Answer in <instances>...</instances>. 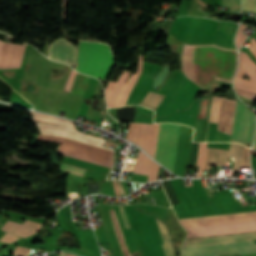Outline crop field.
Here are the masks:
<instances>
[{"mask_svg": "<svg viewBox=\"0 0 256 256\" xmlns=\"http://www.w3.org/2000/svg\"><path fill=\"white\" fill-rule=\"evenodd\" d=\"M18 239H19V238L14 237V236H12V235H10V234H5V235L3 236V238H2L0 241L12 243V242H14V241H16V240H18Z\"/></svg>", "mask_w": 256, "mask_h": 256, "instance_id": "32", "label": "crop field"}, {"mask_svg": "<svg viewBox=\"0 0 256 256\" xmlns=\"http://www.w3.org/2000/svg\"><path fill=\"white\" fill-rule=\"evenodd\" d=\"M113 185H114V190H115L116 196H117V197H120L119 191H118V187H117V184H116L115 181H113Z\"/></svg>", "mask_w": 256, "mask_h": 256, "instance_id": "35", "label": "crop field"}, {"mask_svg": "<svg viewBox=\"0 0 256 256\" xmlns=\"http://www.w3.org/2000/svg\"><path fill=\"white\" fill-rule=\"evenodd\" d=\"M163 98H164V95L149 91L148 94L140 103V105L156 110V108L158 107V105L160 104Z\"/></svg>", "mask_w": 256, "mask_h": 256, "instance_id": "22", "label": "crop field"}, {"mask_svg": "<svg viewBox=\"0 0 256 256\" xmlns=\"http://www.w3.org/2000/svg\"><path fill=\"white\" fill-rule=\"evenodd\" d=\"M60 169L66 171V172L81 175V176L84 175V171H85L84 169H80V168L73 167V166H70L67 164H63V163H62Z\"/></svg>", "mask_w": 256, "mask_h": 256, "instance_id": "26", "label": "crop field"}, {"mask_svg": "<svg viewBox=\"0 0 256 256\" xmlns=\"http://www.w3.org/2000/svg\"><path fill=\"white\" fill-rule=\"evenodd\" d=\"M236 91H237L238 95H240V96H244V97H248V98L256 100V94H254V93L245 92V91H241V90H237V89H236Z\"/></svg>", "mask_w": 256, "mask_h": 256, "instance_id": "33", "label": "crop field"}, {"mask_svg": "<svg viewBox=\"0 0 256 256\" xmlns=\"http://www.w3.org/2000/svg\"><path fill=\"white\" fill-rule=\"evenodd\" d=\"M142 64L143 55L139 54V66L136 75L133 74L132 77L126 83L131 73L124 71L123 74L121 73L122 75L120 76L117 82H109L105 90L108 107H118L126 104L130 92L141 72Z\"/></svg>", "mask_w": 256, "mask_h": 256, "instance_id": "6", "label": "crop field"}, {"mask_svg": "<svg viewBox=\"0 0 256 256\" xmlns=\"http://www.w3.org/2000/svg\"><path fill=\"white\" fill-rule=\"evenodd\" d=\"M249 153H250V149L247 148V147H245V148H244V153H243V159H242V164H241V166L250 167Z\"/></svg>", "mask_w": 256, "mask_h": 256, "instance_id": "30", "label": "crop field"}, {"mask_svg": "<svg viewBox=\"0 0 256 256\" xmlns=\"http://www.w3.org/2000/svg\"><path fill=\"white\" fill-rule=\"evenodd\" d=\"M66 256H73V255H68V254H66Z\"/></svg>", "mask_w": 256, "mask_h": 256, "instance_id": "38", "label": "crop field"}, {"mask_svg": "<svg viewBox=\"0 0 256 256\" xmlns=\"http://www.w3.org/2000/svg\"><path fill=\"white\" fill-rule=\"evenodd\" d=\"M141 152H139L133 173L148 175L152 160Z\"/></svg>", "mask_w": 256, "mask_h": 256, "instance_id": "19", "label": "crop field"}, {"mask_svg": "<svg viewBox=\"0 0 256 256\" xmlns=\"http://www.w3.org/2000/svg\"><path fill=\"white\" fill-rule=\"evenodd\" d=\"M253 149L256 150V130H255L254 147H253Z\"/></svg>", "mask_w": 256, "mask_h": 256, "instance_id": "37", "label": "crop field"}, {"mask_svg": "<svg viewBox=\"0 0 256 256\" xmlns=\"http://www.w3.org/2000/svg\"><path fill=\"white\" fill-rule=\"evenodd\" d=\"M26 46L0 41V68L20 67Z\"/></svg>", "mask_w": 256, "mask_h": 256, "instance_id": "11", "label": "crop field"}, {"mask_svg": "<svg viewBox=\"0 0 256 256\" xmlns=\"http://www.w3.org/2000/svg\"><path fill=\"white\" fill-rule=\"evenodd\" d=\"M253 214H256V211H255V212H248V213H240V214H229V215H217V216L184 218V219H179V220H180V222H185V221L205 220V219L224 218V217H234V216L253 215Z\"/></svg>", "mask_w": 256, "mask_h": 256, "instance_id": "25", "label": "crop field"}, {"mask_svg": "<svg viewBox=\"0 0 256 256\" xmlns=\"http://www.w3.org/2000/svg\"><path fill=\"white\" fill-rule=\"evenodd\" d=\"M223 5L231 7V10L240 11V0H223Z\"/></svg>", "mask_w": 256, "mask_h": 256, "instance_id": "28", "label": "crop field"}, {"mask_svg": "<svg viewBox=\"0 0 256 256\" xmlns=\"http://www.w3.org/2000/svg\"><path fill=\"white\" fill-rule=\"evenodd\" d=\"M253 220H256V215L234 217V218H224V219H214V220H205V221H195V222H185V223H182V225L184 226V228H189V227L235 223V222H244V221H253Z\"/></svg>", "mask_w": 256, "mask_h": 256, "instance_id": "16", "label": "crop field"}, {"mask_svg": "<svg viewBox=\"0 0 256 256\" xmlns=\"http://www.w3.org/2000/svg\"><path fill=\"white\" fill-rule=\"evenodd\" d=\"M109 211H110V215H111V219H112V222H113L115 233H116V235H117V237L119 239V242H120V244H121V246L123 248L124 254H125V256H131L129 254V252H128V249H127V246H126V243H125L122 231L120 229V226H119V223H118L115 211L114 210H109Z\"/></svg>", "mask_w": 256, "mask_h": 256, "instance_id": "24", "label": "crop field"}, {"mask_svg": "<svg viewBox=\"0 0 256 256\" xmlns=\"http://www.w3.org/2000/svg\"><path fill=\"white\" fill-rule=\"evenodd\" d=\"M188 237H201L256 231V221L186 229Z\"/></svg>", "mask_w": 256, "mask_h": 256, "instance_id": "10", "label": "crop field"}, {"mask_svg": "<svg viewBox=\"0 0 256 256\" xmlns=\"http://www.w3.org/2000/svg\"><path fill=\"white\" fill-rule=\"evenodd\" d=\"M180 125L164 123L160 126L155 160L171 172L174 170Z\"/></svg>", "mask_w": 256, "mask_h": 256, "instance_id": "5", "label": "crop field"}, {"mask_svg": "<svg viewBox=\"0 0 256 256\" xmlns=\"http://www.w3.org/2000/svg\"><path fill=\"white\" fill-rule=\"evenodd\" d=\"M39 140H46V141H55L59 143H63L59 149V154L71 156L74 158L90 161L93 163L111 166L113 152L105 151L102 149L94 148L91 146H87L84 144L76 143L73 141L54 138V137H47L39 135Z\"/></svg>", "mask_w": 256, "mask_h": 256, "instance_id": "4", "label": "crop field"}, {"mask_svg": "<svg viewBox=\"0 0 256 256\" xmlns=\"http://www.w3.org/2000/svg\"><path fill=\"white\" fill-rule=\"evenodd\" d=\"M254 113L237 102L231 141L250 143Z\"/></svg>", "mask_w": 256, "mask_h": 256, "instance_id": "9", "label": "crop field"}, {"mask_svg": "<svg viewBox=\"0 0 256 256\" xmlns=\"http://www.w3.org/2000/svg\"><path fill=\"white\" fill-rule=\"evenodd\" d=\"M236 101L222 98L218 130L231 135Z\"/></svg>", "mask_w": 256, "mask_h": 256, "instance_id": "14", "label": "crop field"}, {"mask_svg": "<svg viewBox=\"0 0 256 256\" xmlns=\"http://www.w3.org/2000/svg\"><path fill=\"white\" fill-rule=\"evenodd\" d=\"M239 252L256 253L253 241L181 249V256H217L216 254Z\"/></svg>", "mask_w": 256, "mask_h": 256, "instance_id": "8", "label": "crop field"}, {"mask_svg": "<svg viewBox=\"0 0 256 256\" xmlns=\"http://www.w3.org/2000/svg\"><path fill=\"white\" fill-rule=\"evenodd\" d=\"M234 68L235 53L233 50L215 46H189L185 44L183 46L182 72L188 79L201 88L209 86L215 76L230 80L234 72ZM217 77H215L216 80L232 83L231 81Z\"/></svg>", "mask_w": 256, "mask_h": 256, "instance_id": "1", "label": "crop field"}, {"mask_svg": "<svg viewBox=\"0 0 256 256\" xmlns=\"http://www.w3.org/2000/svg\"><path fill=\"white\" fill-rule=\"evenodd\" d=\"M77 49L66 40H58L51 46L50 57L74 66Z\"/></svg>", "mask_w": 256, "mask_h": 256, "instance_id": "13", "label": "crop field"}, {"mask_svg": "<svg viewBox=\"0 0 256 256\" xmlns=\"http://www.w3.org/2000/svg\"><path fill=\"white\" fill-rule=\"evenodd\" d=\"M160 124H131L129 125L127 140L141 146L154 158Z\"/></svg>", "mask_w": 256, "mask_h": 256, "instance_id": "7", "label": "crop field"}, {"mask_svg": "<svg viewBox=\"0 0 256 256\" xmlns=\"http://www.w3.org/2000/svg\"><path fill=\"white\" fill-rule=\"evenodd\" d=\"M119 207H120V210H121V213H122V217H123V220H124L125 228H126V229L131 228L130 225H129V222H128V220H127V217H126V214H125V212H124L123 207H122V206H119Z\"/></svg>", "mask_w": 256, "mask_h": 256, "instance_id": "34", "label": "crop field"}, {"mask_svg": "<svg viewBox=\"0 0 256 256\" xmlns=\"http://www.w3.org/2000/svg\"><path fill=\"white\" fill-rule=\"evenodd\" d=\"M243 148L244 146L241 144L231 143L230 145V151L228 156L235 157L233 173H239Z\"/></svg>", "mask_w": 256, "mask_h": 256, "instance_id": "21", "label": "crop field"}, {"mask_svg": "<svg viewBox=\"0 0 256 256\" xmlns=\"http://www.w3.org/2000/svg\"><path fill=\"white\" fill-rule=\"evenodd\" d=\"M253 239H256V232L245 233V234H236V235L217 236V237H208V238H199V239H190V240H185V242L181 248L212 245V244L231 243V242H240V241H249V240H253Z\"/></svg>", "mask_w": 256, "mask_h": 256, "instance_id": "12", "label": "crop field"}, {"mask_svg": "<svg viewBox=\"0 0 256 256\" xmlns=\"http://www.w3.org/2000/svg\"><path fill=\"white\" fill-rule=\"evenodd\" d=\"M220 101H221V98L213 97L210 119H209V122H210L209 130L216 131L219 108H220Z\"/></svg>", "mask_w": 256, "mask_h": 256, "instance_id": "23", "label": "crop field"}, {"mask_svg": "<svg viewBox=\"0 0 256 256\" xmlns=\"http://www.w3.org/2000/svg\"><path fill=\"white\" fill-rule=\"evenodd\" d=\"M117 183H118V187H119V190H120L121 195H122V196H125L124 191H123V188H122V185H121V182H120V181H117Z\"/></svg>", "mask_w": 256, "mask_h": 256, "instance_id": "36", "label": "crop field"}, {"mask_svg": "<svg viewBox=\"0 0 256 256\" xmlns=\"http://www.w3.org/2000/svg\"><path fill=\"white\" fill-rule=\"evenodd\" d=\"M32 115H34L33 120L35 121L62 124L68 127L75 128L73 122L71 121L51 117V116L44 115L34 111L32 112ZM35 124L40 128L41 134L60 136V137L76 140L79 142L87 143L90 145H94V146H98V147H102V148L114 151V149L101 146L105 141L104 139L86 135L78 130H75L76 128L72 129V128L61 127V126H53V125H45V124H37V123Z\"/></svg>", "mask_w": 256, "mask_h": 256, "instance_id": "3", "label": "crop field"}, {"mask_svg": "<svg viewBox=\"0 0 256 256\" xmlns=\"http://www.w3.org/2000/svg\"><path fill=\"white\" fill-rule=\"evenodd\" d=\"M40 227H41V224L27 220L23 225L16 223V222L8 221L0 229L6 231L8 233L14 234L16 236H19V237L24 236L26 238V237L38 232Z\"/></svg>", "mask_w": 256, "mask_h": 256, "instance_id": "15", "label": "crop field"}, {"mask_svg": "<svg viewBox=\"0 0 256 256\" xmlns=\"http://www.w3.org/2000/svg\"><path fill=\"white\" fill-rule=\"evenodd\" d=\"M29 251V249L16 246L12 256H27Z\"/></svg>", "mask_w": 256, "mask_h": 256, "instance_id": "31", "label": "crop field"}, {"mask_svg": "<svg viewBox=\"0 0 256 256\" xmlns=\"http://www.w3.org/2000/svg\"><path fill=\"white\" fill-rule=\"evenodd\" d=\"M85 45L86 42L80 41L75 69L101 80L105 79L113 62L109 47L100 43L88 42L87 50H85Z\"/></svg>", "mask_w": 256, "mask_h": 256, "instance_id": "2", "label": "crop field"}, {"mask_svg": "<svg viewBox=\"0 0 256 256\" xmlns=\"http://www.w3.org/2000/svg\"><path fill=\"white\" fill-rule=\"evenodd\" d=\"M156 221H157V224H158V227H159L162 239H163L164 245H162V246H163L165 255L166 256H174L172 244H171L166 226L161 221H159L157 218H156Z\"/></svg>", "mask_w": 256, "mask_h": 256, "instance_id": "20", "label": "crop field"}, {"mask_svg": "<svg viewBox=\"0 0 256 256\" xmlns=\"http://www.w3.org/2000/svg\"><path fill=\"white\" fill-rule=\"evenodd\" d=\"M158 168H159V165H157L155 162H152L148 182L156 180Z\"/></svg>", "mask_w": 256, "mask_h": 256, "instance_id": "29", "label": "crop field"}, {"mask_svg": "<svg viewBox=\"0 0 256 256\" xmlns=\"http://www.w3.org/2000/svg\"><path fill=\"white\" fill-rule=\"evenodd\" d=\"M76 72L77 71L72 70L71 75L68 80V83H67L64 91H68V92L70 91V88H71V85L74 80ZM89 78H90L89 76L77 73L70 93L82 96L84 93V90L86 88V85L88 83Z\"/></svg>", "mask_w": 256, "mask_h": 256, "instance_id": "17", "label": "crop field"}, {"mask_svg": "<svg viewBox=\"0 0 256 256\" xmlns=\"http://www.w3.org/2000/svg\"><path fill=\"white\" fill-rule=\"evenodd\" d=\"M243 10L256 12V0H242Z\"/></svg>", "mask_w": 256, "mask_h": 256, "instance_id": "27", "label": "crop field"}, {"mask_svg": "<svg viewBox=\"0 0 256 256\" xmlns=\"http://www.w3.org/2000/svg\"><path fill=\"white\" fill-rule=\"evenodd\" d=\"M228 150L207 148L204 169H209L210 165L225 166Z\"/></svg>", "mask_w": 256, "mask_h": 256, "instance_id": "18", "label": "crop field"}]
</instances>
